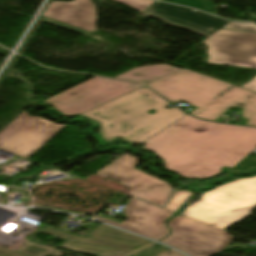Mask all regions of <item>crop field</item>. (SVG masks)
<instances>
[{
  "label": "crop field",
  "instance_id": "412701ff",
  "mask_svg": "<svg viewBox=\"0 0 256 256\" xmlns=\"http://www.w3.org/2000/svg\"><path fill=\"white\" fill-rule=\"evenodd\" d=\"M142 85L95 77L46 100L65 116H76Z\"/></svg>",
  "mask_w": 256,
  "mask_h": 256
},
{
  "label": "crop field",
  "instance_id": "cbeb9de0",
  "mask_svg": "<svg viewBox=\"0 0 256 256\" xmlns=\"http://www.w3.org/2000/svg\"><path fill=\"white\" fill-rule=\"evenodd\" d=\"M232 106L242 107L241 116L250 120L245 125L256 127V93L235 86L223 92L194 116L214 121Z\"/></svg>",
  "mask_w": 256,
  "mask_h": 256
},
{
  "label": "crop field",
  "instance_id": "ac0d7876",
  "mask_svg": "<svg viewBox=\"0 0 256 256\" xmlns=\"http://www.w3.org/2000/svg\"><path fill=\"white\" fill-rule=\"evenodd\" d=\"M169 104L142 86L82 116L101 124L99 133L104 141L109 143L120 136L123 140L139 145L187 115L176 107L163 108ZM150 109H155L156 113H147Z\"/></svg>",
  "mask_w": 256,
  "mask_h": 256
},
{
  "label": "crop field",
  "instance_id": "4177f3b9",
  "mask_svg": "<svg viewBox=\"0 0 256 256\" xmlns=\"http://www.w3.org/2000/svg\"><path fill=\"white\" fill-rule=\"evenodd\" d=\"M160 256H183V255H181V254H179V253H177L173 250H170V251H168V252H166V253H164Z\"/></svg>",
  "mask_w": 256,
  "mask_h": 256
},
{
  "label": "crop field",
  "instance_id": "d8731c3e",
  "mask_svg": "<svg viewBox=\"0 0 256 256\" xmlns=\"http://www.w3.org/2000/svg\"><path fill=\"white\" fill-rule=\"evenodd\" d=\"M89 234L94 238L88 239L71 235L61 247L63 249L94 256L113 254L130 256L136 252L155 245V243L147 239L111 228L103 224ZM141 244H144V246L132 250Z\"/></svg>",
  "mask_w": 256,
  "mask_h": 256
},
{
  "label": "crop field",
  "instance_id": "34b2d1b8",
  "mask_svg": "<svg viewBox=\"0 0 256 256\" xmlns=\"http://www.w3.org/2000/svg\"><path fill=\"white\" fill-rule=\"evenodd\" d=\"M256 209V177L239 179L203 194L182 215L225 229Z\"/></svg>",
  "mask_w": 256,
  "mask_h": 256
},
{
  "label": "crop field",
  "instance_id": "d1516ede",
  "mask_svg": "<svg viewBox=\"0 0 256 256\" xmlns=\"http://www.w3.org/2000/svg\"><path fill=\"white\" fill-rule=\"evenodd\" d=\"M190 10L155 1L142 15L158 18L169 25L188 29L205 37L210 36L229 22L199 11L193 12Z\"/></svg>",
  "mask_w": 256,
  "mask_h": 256
},
{
  "label": "crop field",
  "instance_id": "28ad6ade",
  "mask_svg": "<svg viewBox=\"0 0 256 256\" xmlns=\"http://www.w3.org/2000/svg\"><path fill=\"white\" fill-rule=\"evenodd\" d=\"M160 208L131 197L124 210L127 219L121 224L100 216L96 219L158 240L168 235L164 223L169 216L175 214Z\"/></svg>",
  "mask_w": 256,
  "mask_h": 256
},
{
  "label": "crop field",
  "instance_id": "d9b57169",
  "mask_svg": "<svg viewBox=\"0 0 256 256\" xmlns=\"http://www.w3.org/2000/svg\"><path fill=\"white\" fill-rule=\"evenodd\" d=\"M17 251L30 256H46V255L61 256L62 255V252H59L47 247H43L31 242L27 243Z\"/></svg>",
  "mask_w": 256,
  "mask_h": 256
},
{
  "label": "crop field",
  "instance_id": "8a807250",
  "mask_svg": "<svg viewBox=\"0 0 256 256\" xmlns=\"http://www.w3.org/2000/svg\"><path fill=\"white\" fill-rule=\"evenodd\" d=\"M164 167L184 177L209 178L256 148V128L197 120L189 115L144 142Z\"/></svg>",
  "mask_w": 256,
  "mask_h": 256
},
{
  "label": "crop field",
  "instance_id": "730fd06b",
  "mask_svg": "<svg viewBox=\"0 0 256 256\" xmlns=\"http://www.w3.org/2000/svg\"><path fill=\"white\" fill-rule=\"evenodd\" d=\"M114 256H122V255H114Z\"/></svg>",
  "mask_w": 256,
  "mask_h": 256
},
{
  "label": "crop field",
  "instance_id": "92a150f3",
  "mask_svg": "<svg viewBox=\"0 0 256 256\" xmlns=\"http://www.w3.org/2000/svg\"><path fill=\"white\" fill-rule=\"evenodd\" d=\"M223 28L225 29H235V30H245V31H255L256 32V24L255 23H236L230 22Z\"/></svg>",
  "mask_w": 256,
  "mask_h": 256
},
{
  "label": "crop field",
  "instance_id": "00972430",
  "mask_svg": "<svg viewBox=\"0 0 256 256\" xmlns=\"http://www.w3.org/2000/svg\"><path fill=\"white\" fill-rule=\"evenodd\" d=\"M242 87L256 92V77L244 84Z\"/></svg>",
  "mask_w": 256,
  "mask_h": 256
},
{
  "label": "crop field",
  "instance_id": "f4fd0767",
  "mask_svg": "<svg viewBox=\"0 0 256 256\" xmlns=\"http://www.w3.org/2000/svg\"><path fill=\"white\" fill-rule=\"evenodd\" d=\"M147 86L174 103L181 100L198 107L189 113L194 115L232 85L186 69H180L147 84Z\"/></svg>",
  "mask_w": 256,
  "mask_h": 256
},
{
  "label": "crop field",
  "instance_id": "22f410ed",
  "mask_svg": "<svg viewBox=\"0 0 256 256\" xmlns=\"http://www.w3.org/2000/svg\"><path fill=\"white\" fill-rule=\"evenodd\" d=\"M93 4L90 0L54 2L46 8L40 21L80 34L93 32L97 20Z\"/></svg>",
  "mask_w": 256,
  "mask_h": 256
},
{
  "label": "crop field",
  "instance_id": "3316defc",
  "mask_svg": "<svg viewBox=\"0 0 256 256\" xmlns=\"http://www.w3.org/2000/svg\"><path fill=\"white\" fill-rule=\"evenodd\" d=\"M137 164L136 157L126 154L97 174L122 182L132 195L163 205L171 193L168 183L137 170Z\"/></svg>",
  "mask_w": 256,
  "mask_h": 256
},
{
  "label": "crop field",
  "instance_id": "5a996713",
  "mask_svg": "<svg viewBox=\"0 0 256 256\" xmlns=\"http://www.w3.org/2000/svg\"><path fill=\"white\" fill-rule=\"evenodd\" d=\"M206 63L256 69V34L218 30L203 42Z\"/></svg>",
  "mask_w": 256,
  "mask_h": 256
},
{
  "label": "crop field",
  "instance_id": "214f88e0",
  "mask_svg": "<svg viewBox=\"0 0 256 256\" xmlns=\"http://www.w3.org/2000/svg\"><path fill=\"white\" fill-rule=\"evenodd\" d=\"M168 250H170V249L167 247H164L160 244H157V245H155L145 251H142L134 256H157V255H160Z\"/></svg>",
  "mask_w": 256,
  "mask_h": 256
},
{
  "label": "crop field",
  "instance_id": "4a817a6b",
  "mask_svg": "<svg viewBox=\"0 0 256 256\" xmlns=\"http://www.w3.org/2000/svg\"><path fill=\"white\" fill-rule=\"evenodd\" d=\"M190 192L179 191L175 192L165 209L174 211L180 204H182L188 197H190Z\"/></svg>",
  "mask_w": 256,
  "mask_h": 256
},
{
  "label": "crop field",
  "instance_id": "bc2a9ffb",
  "mask_svg": "<svg viewBox=\"0 0 256 256\" xmlns=\"http://www.w3.org/2000/svg\"><path fill=\"white\" fill-rule=\"evenodd\" d=\"M115 1L129 5L132 8L139 11H144L147 7H149L154 2V0H115Z\"/></svg>",
  "mask_w": 256,
  "mask_h": 256
},
{
  "label": "crop field",
  "instance_id": "e52e79f7",
  "mask_svg": "<svg viewBox=\"0 0 256 256\" xmlns=\"http://www.w3.org/2000/svg\"><path fill=\"white\" fill-rule=\"evenodd\" d=\"M63 127L22 112L0 132V149L28 159Z\"/></svg>",
  "mask_w": 256,
  "mask_h": 256
},
{
  "label": "crop field",
  "instance_id": "dafd665d",
  "mask_svg": "<svg viewBox=\"0 0 256 256\" xmlns=\"http://www.w3.org/2000/svg\"><path fill=\"white\" fill-rule=\"evenodd\" d=\"M51 228H52L51 226H47V227H45V229L43 231H41V233H45V234L55 236V237L65 239V240H67L68 237L70 236V234H68V233L53 230Z\"/></svg>",
  "mask_w": 256,
  "mask_h": 256
},
{
  "label": "crop field",
  "instance_id": "5142ce71",
  "mask_svg": "<svg viewBox=\"0 0 256 256\" xmlns=\"http://www.w3.org/2000/svg\"><path fill=\"white\" fill-rule=\"evenodd\" d=\"M177 69H179V68L169 66L166 64L150 65V66H143V67L135 68L126 73L118 75L114 78L147 84V83L152 82L156 79H159Z\"/></svg>",
  "mask_w": 256,
  "mask_h": 256
},
{
  "label": "crop field",
  "instance_id": "733c2abd",
  "mask_svg": "<svg viewBox=\"0 0 256 256\" xmlns=\"http://www.w3.org/2000/svg\"><path fill=\"white\" fill-rule=\"evenodd\" d=\"M163 1L194 7L208 13H212L213 5H214V2H209L207 0H163Z\"/></svg>",
  "mask_w": 256,
  "mask_h": 256
},
{
  "label": "crop field",
  "instance_id": "dd49c442",
  "mask_svg": "<svg viewBox=\"0 0 256 256\" xmlns=\"http://www.w3.org/2000/svg\"><path fill=\"white\" fill-rule=\"evenodd\" d=\"M168 226L172 234L161 242L191 256H211L219 253L235 239L225 230L182 215L170 220Z\"/></svg>",
  "mask_w": 256,
  "mask_h": 256
},
{
  "label": "crop field",
  "instance_id": "a9b5d70f",
  "mask_svg": "<svg viewBox=\"0 0 256 256\" xmlns=\"http://www.w3.org/2000/svg\"><path fill=\"white\" fill-rule=\"evenodd\" d=\"M0 256H23V255L0 249Z\"/></svg>",
  "mask_w": 256,
  "mask_h": 256
}]
</instances>
